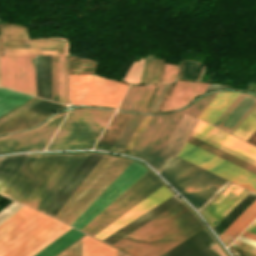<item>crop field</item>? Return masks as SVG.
Instances as JSON below:
<instances>
[{
  "label": "crop field",
  "mask_w": 256,
  "mask_h": 256,
  "mask_svg": "<svg viewBox=\"0 0 256 256\" xmlns=\"http://www.w3.org/2000/svg\"><path fill=\"white\" fill-rule=\"evenodd\" d=\"M87 155L30 156L1 194L43 212Z\"/></svg>",
  "instance_id": "1"
},
{
  "label": "crop field",
  "mask_w": 256,
  "mask_h": 256,
  "mask_svg": "<svg viewBox=\"0 0 256 256\" xmlns=\"http://www.w3.org/2000/svg\"><path fill=\"white\" fill-rule=\"evenodd\" d=\"M195 218L180 202L112 246L132 256H159L203 229Z\"/></svg>",
  "instance_id": "2"
},
{
  "label": "crop field",
  "mask_w": 256,
  "mask_h": 256,
  "mask_svg": "<svg viewBox=\"0 0 256 256\" xmlns=\"http://www.w3.org/2000/svg\"><path fill=\"white\" fill-rule=\"evenodd\" d=\"M69 228L24 207L0 224V256H33Z\"/></svg>",
  "instance_id": "3"
},
{
  "label": "crop field",
  "mask_w": 256,
  "mask_h": 256,
  "mask_svg": "<svg viewBox=\"0 0 256 256\" xmlns=\"http://www.w3.org/2000/svg\"><path fill=\"white\" fill-rule=\"evenodd\" d=\"M130 163L103 155L55 218L70 225Z\"/></svg>",
  "instance_id": "4"
},
{
  "label": "crop field",
  "mask_w": 256,
  "mask_h": 256,
  "mask_svg": "<svg viewBox=\"0 0 256 256\" xmlns=\"http://www.w3.org/2000/svg\"><path fill=\"white\" fill-rule=\"evenodd\" d=\"M113 113L94 109L70 111L46 150L92 148Z\"/></svg>",
  "instance_id": "5"
},
{
  "label": "crop field",
  "mask_w": 256,
  "mask_h": 256,
  "mask_svg": "<svg viewBox=\"0 0 256 256\" xmlns=\"http://www.w3.org/2000/svg\"><path fill=\"white\" fill-rule=\"evenodd\" d=\"M160 175L179 191L196 210L213 195L226 180L176 157Z\"/></svg>",
  "instance_id": "6"
},
{
  "label": "crop field",
  "mask_w": 256,
  "mask_h": 256,
  "mask_svg": "<svg viewBox=\"0 0 256 256\" xmlns=\"http://www.w3.org/2000/svg\"><path fill=\"white\" fill-rule=\"evenodd\" d=\"M127 87L96 76L69 75V104L117 108Z\"/></svg>",
  "instance_id": "7"
},
{
  "label": "crop field",
  "mask_w": 256,
  "mask_h": 256,
  "mask_svg": "<svg viewBox=\"0 0 256 256\" xmlns=\"http://www.w3.org/2000/svg\"><path fill=\"white\" fill-rule=\"evenodd\" d=\"M162 186L148 171L123 192L82 231L95 235L127 210Z\"/></svg>",
  "instance_id": "8"
},
{
  "label": "crop field",
  "mask_w": 256,
  "mask_h": 256,
  "mask_svg": "<svg viewBox=\"0 0 256 256\" xmlns=\"http://www.w3.org/2000/svg\"><path fill=\"white\" fill-rule=\"evenodd\" d=\"M5 47H61L60 48H6V55L67 54V39L28 40L24 27L10 24L0 25V55H5Z\"/></svg>",
  "instance_id": "9"
},
{
  "label": "crop field",
  "mask_w": 256,
  "mask_h": 256,
  "mask_svg": "<svg viewBox=\"0 0 256 256\" xmlns=\"http://www.w3.org/2000/svg\"><path fill=\"white\" fill-rule=\"evenodd\" d=\"M179 157L256 193V175L203 151L187 142Z\"/></svg>",
  "instance_id": "10"
},
{
  "label": "crop field",
  "mask_w": 256,
  "mask_h": 256,
  "mask_svg": "<svg viewBox=\"0 0 256 256\" xmlns=\"http://www.w3.org/2000/svg\"><path fill=\"white\" fill-rule=\"evenodd\" d=\"M182 115L183 112H177L152 116L129 155L141 158L151 166Z\"/></svg>",
  "instance_id": "11"
},
{
  "label": "crop field",
  "mask_w": 256,
  "mask_h": 256,
  "mask_svg": "<svg viewBox=\"0 0 256 256\" xmlns=\"http://www.w3.org/2000/svg\"><path fill=\"white\" fill-rule=\"evenodd\" d=\"M66 113L58 114L26 132L0 137V153L44 150Z\"/></svg>",
  "instance_id": "12"
},
{
  "label": "crop field",
  "mask_w": 256,
  "mask_h": 256,
  "mask_svg": "<svg viewBox=\"0 0 256 256\" xmlns=\"http://www.w3.org/2000/svg\"><path fill=\"white\" fill-rule=\"evenodd\" d=\"M146 171L143 166L132 162L71 226L81 230Z\"/></svg>",
  "instance_id": "13"
},
{
  "label": "crop field",
  "mask_w": 256,
  "mask_h": 256,
  "mask_svg": "<svg viewBox=\"0 0 256 256\" xmlns=\"http://www.w3.org/2000/svg\"><path fill=\"white\" fill-rule=\"evenodd\" d=\"M1 86L35 96V56H0Z\"/></svg>",
  "instance_id": "14"
},
{
  "label": "crop field",
  "mask_w": 256,
  "mask_h": 256,
  "mask_svg": "<svg viewBox=\"0 0 256 256\" xmlns=\"http://www.w3.org/2000/svg\"><path fill=\"white\" fill-rule=\"evenodd\" d=\"M248 193L231 183L200 214L213 229Z\"/></svg>",
  "instance_id": "15"
},
{
  "label": "crop field",
  "mask_w": 256,
  "mask_h": 256,
  "mask_svg": "<svg viewBox=\"0 0 256 256\" xmlns=\"http://www.w3.org/2000/svg\"><path fill=\"white\" fill-rule=\"evenodd\" d=\"M167 190L163 186L160 187L158 190H156L154 193L149 195L143 201L138 203L136 206H134L128 212L123 214L117 220H115L110 225H108L106 228H104L99 233H97L94 237H96L100 240L104 239L105 237L109 236L110 234L117 231L121 227L125 226L129 222L133 221L137 217L141 216L145 212L149 211L153 207L157 206L161 202L165 201L169 197L173 196Z\"/></svg>",
  "instance_id": "16"
},
{
  "label": "crop field",
  "mask_w": 256,
  "mask_h": 256,
  "mask_svg": "<svg viewBox=\"0 0 256 256\" xmlns=\"http://www.w3.org/2000/svg\"><path fill=\"white\" fill-rule=\"evenodd\" d=\"M197 119L184 113L171 136L165 143L159 155L155 159L152 167L159 171L166 163H168L178 152L189 132L193 128Z\"/></svg>",
  "instance_id": "17"
},
{
  "label": "crop field",
  "mask_w": 256,
  "mask_h": 256,
  "mask_svg": "<svg viewBox=\"0 0 256 256\" xmlns=\"http://www.w3.org/2000/svg\"><path fill=\"white\" fill-rule=\"evenodd\" d=\"M101 156V154H89L76 172L72 175V177L68 180L65 186L63 185L64 187L61 189V191L59 190L60 192L57 194V196L55 195L56 197L53 199V201L51 200L52 202L49 204V206L47 205L48 207L45 209V211L43 210L44 213L54 217L66 200L90 172L93 166L101 158Z\"/></svg>",
  "instance_id": "18"
},
{
  "label": "crop field",
  "mask_w": 256,
  "mask_h": 256,
  "mask_svg": "<svg viewBox=\"0 0 256 256\" xmlns=\"http://www.w3.org/2000/svg\"><path fill=\"white\" fill-rule=\"evenodd\" d=\"M62 107H65V105L44 100L0 125V134L29 127L41 121L53 111Z\"/></svg>",
  "instance_id": "19"
},
{
  "label": "crop field",
  "mask_w": 256,
  "mask_h": 256,
  "mask_svg": "<svg viewBox=\"0 0 256 256\" xmlns=\"http://www.w3.org/2000/svg\"><path fill=\"white\" fill-rule=\"evenodd\" d=\"M252 98L256 100V97L249 95V94H244L240 93L236 99L227 107V109L217 118V120L212 124L230 134L234 132V130L240 125V123L246 118V116L252 111V109L256 106V101L249 99ZM245 97V98H244ZM244 98V99H243ZM243 99V100H242ZM242 100V102H241ZM241 102V103H240ZM254 102V103H253ZM240 103V104H239ZM253 103V104H252ZM239 104V105H238ZM252 106L250 107V105ZM238 105V106H237ZM237 106V107H236ZM236 107V108H235ZM250 107V108H249ZM235 108V109H234ZM249 108V109H248ZM234 109V110H233ZM248 109V110H247ZM233 110V112H232ZM247 110V111H246ZM246 111V112H245ZM232 112V113H231ZM245 112V113H244ZM231 113V114H230ZM244 113V114H243ZM230 114V115H229ZM243 114V116H242ZM229 115V116H228ZM228 116V117H227ZM242 116V117H241ZM227 117V118H226ZM241 117V118H240ZM226 118V119H225ZM240 118V119H239ZM225 119V120H224ZM239 119V120H238ZM224 120V122H223ZM238 120V121H237ZM237 121V122H236ZM223 122V123H222ZM236 122V123H235ZM222 123V124H221ZM235 123V124H234ZM226 127L230 129L233 124L234 126L228 130L226 128H223L221 126Z\"/></svg>",
  "instance_id": "20"
},
{
  "label": "crop field",
  "mask_w": 256,
  "mask_h": 256,
  "mask_svg": "<svg viewBox=\"0 0 256 256\" xmlns=\"http://www.w3.org/2000/svg\"><path fill=\"white\" fill-rule=\"evenodd\" d=\"M216 243L203 229L161 256H212Z\"/></svg>",
  "instance_id": "21"
},
{
  "label": "crop field",
  "mask_w": 256,
  "mask_h": 256,
  "mask_svg": "<svg viewBox=\"0 0 256 256\" xmlns=\"http://www.w3.org/2000/svg\"><path fill=\"white\" fill-rule=\"evenodd\" d=\"M194 131L256 160L255 147L231 135H228L202 121H198L197 125L194 128Z\"/></svg>",
  "instance_id": "22"
},
{
  "label": "crop field",
  "mask_w": 256,
  "mask_h": 256,
  "mask_svg": "<svg viewBox=\"0 0 256 256\" xmlns=\"http://www.w3.org/2000/svg\"><path fill=\"white\" fill-rule=\"evenodd\" d=\"M208 84L179 80L164 111L185 105L194 96L205 92Z\"/></svg>",
  "instance_id": "23"
},
{
  "label": "crop field",
  "mask_w": 256,
  "mask_h": 256,
  "mask_svg": "<svg viewBox=\"0 0 256 256\" xmlns=\"http://www.w3.org/2000/svg\"><path fill=\"white\" fill-rule=\"evenodd\" d=\"M178 202H180V201L178 199H176L174 196L171 197L170 199L166 200L162 204L158 205L154 209L150 210L146 214L142 215L138 219L134 220L130 224L126 225L125 227L118 230L117 232H115L114 234L110 235L109 237H107L106 239H104L102 241H104L110 245L113 244L114 242L118 241L122 237L126 236L130 232L134 231L138 227L142 226L143 224H145L149 220L153 219L157 215L161 214L165 210L169 209L173 205L177 204Z\"/></svg>",
  "instance_id": "24"
},
{
  "label": "crop field",
  "mask_w": 256,
  "mask_h": 256,
  "mask_svg": "<svg viewBox=\"0 0 256 256\" xmlns=\"http://www.w3.org/2000/svg\"><path fill=\"white\" fill-rule=\"evenodd\" d=\"M130 117V114L116 112L94 149L110 151Z\"/></svg>",
  "instance_id": "25"
},
{
  "label": "crop field",
  "mask_w": 256,
  "mask_h": 256,
  "mask_svg": "<svg viewBox=\"0 0 256 256\" xmlns=\"http://www.w3.org/2000/svg\"><path fill=\"white\" fill-rule=\"evenodd\" d=\"M239 93L219 92L198 118L212 124Z\"/></svg>",
  "instance_id": "26"
},
{
  "label": "crop field",
  "mask_w": 256,
  "mask_h": 256,
  "mask_svg": "<svg viewBox=\"0 0 256 256\" xmlns=\"http://www.w3.org/2000/svg\"><path fill=\"white\" fill-rule=\"evenodd\" d=\"M255 217L256 201L219 236L224 245L227 246ZM225 238L226 243L230 240L227 244Z\"/></svg>",
  "instance_id": "27"
},
{
  "label": "crop field",
  "mask_w": 256,
  "mask_h": 256,
  "mask_svg": "<svg viewBox=\"0 0 256 256\" xmlns=\"http://www.w3.org/2000/svg\"><path fill=\"white\" fill-rule=\"evenodd\" d=\"M187 142H189V143H191V144H193V145H195V146H197V147H199L203 150H206V151H208V152H210V153H212V154H214V155H216V156H218L222 159H225V160H227V161H229V162H231V163H233V164H235L239 167H242V168L256 174V167L255 166H253V165H251V164H249V163H247V162H245V161H243V160H241L237 157H234V156H232V155H230V154H228V153H226V152H224V151H222V150H220V149H218L214 146H211V145H209V144H207V143H205V142H203V141H201V140H199V139H197V138H195L191 135H189V137L187 139Z\"/></svg>",
  "instance_id": "28"
},
{
  "label": "crop field",
  "mask_w": 256,
  "mask_h": 256,
  "mask_svg": "<svg viewBox=\"0 0 256 256\" xmlns=\"http://www.w3.org/2000/svg\"><path fill=\"white\" fill-rule=\"evenodd\" d=\"M82 235L84 234L71 228L34 256H55Z\"/></svg>",
  "instance_id": "29"
},
{
  "label": "crop field",
  "mask_w": 256,
  "mask_h": 256,
  "mask_svg": "<svg viewBox=\"0 0 256 256\" xmlns=\"http://www.w3.org/2000/svg\"><path fill=\"white\" fill-rule=\"evenodd\" d=\"M82 256H116V250L89 237H82Z\"/></svg>",
  "instance_id": "30"
},
{
  "label": "crop field",
  "mask_w": 256,
  "mask_h": 256,
  "mask_svg": "<svg viewBox=\"0 0 256 256\" xmlns=\"http://www.w3.org/2000/svg\"><path fill=\"white\" fill-rule=\"evenodd\" d=\"M256 195L249 193L213 230L219 236L238 216H240L254 201Z\"/></svg>",
  "instance_id": "31"
},
{
  "label": "crop field",
  "mask_w": 256,
  "mask_h": 256,
  "mask_svg": "<svg viewBox=\"0 0 256 256\" xmlns=\"http://www.w3.org/2000/svg\"><path fill=\"white\" fill-rule=\"evenodd\" d=\"M33 96L0 87V115L27 101Z\"/></svg>",
  "instance_id": "32"
},
{
  "label": "crop field",
  "mask_w": 256,
  "mask_h": 256,
  "mask_svg": "<svg viewBox=\"0 0 256 256\" xmlns=\"http://www.w3.org/2000/svg\"><path fill=\"white\" fill-rule=\"evenodd\" d=\"M143 118L144 116L132 115L131 119L129 120L121 135L117 139L116 143L112 147V152L121 153V151L129 141L132 134L134 133V131L136 130V128L138 127Z\"/></svg>",
  "instance_id": "33"
},
{
  "label": "crop field",
  "mask_w": 256,
  "mask_h": 256,
  "mask_svg": "<svg viewBox=\"0 0 256 256\" xmlns=\"http://www.w3.org/2000/svg\"><path fill=\"white\" fill-rule=\"evenodd\" d=\"M59 102L67 104V55L58 56Z\"/></svg>",
  "instance_id": "34"
},
{
  "label": "crop field",
  "mask_w": 256,
  "mask_h": 256,
  "mask_svg": "<svg viewBox=\"0 0 256 256\" xmlns=\"http://www.w3.org/2000/svg\"><path fill=\"white\" fill-rule=\"evenodd\" d=\"M255 130H256V107L247 116V118L241 123V125L235 130L233 135L246 141Z\"/></svg>",
  "instance_id": "35"
},
{
  "label": "crop field",
  "mask_w": 256,
  "mask_h": 256,
  "mask_svg": "<svg viewBox=\"0 0 256 256\" xmlns=\"http://www.w3.org/2000/svg\"><path fill=\"white\" fill-rule=\"evenodd\" d=\"M145 88H146V86L145 87H130L120 105V108H124L126 104H127V107H126L127 109H130L132 104L137 105Z\"/></svg>",
  "instance_id": "36"
},
{
  "label": "crop field",
  "mask_w": 256,
  "mask_h": 256,
  "mask_svg": "<svg viewBox=\"0 0 256 256\" xmlns=\"http://www.w3.org/2000/svg\"><path fill=\"white\" fill-rule=\"evenodd\" d=\"M163 85L164 84L148 86L146 91H145V93H144V95H143V97H142V99H141V101H140V103H139V105H138V107H137V109H136V111H140V112H145L146 111L145 106H146V104H147V102L149 100V97H150L154 87H159V89H158V91H157V93H156V95H155V97H154V99H153V101H152L148 111H147V112H150L152 107H153V105H154V103H155V101H156V99H157V97H158V95H159V93H160V91H161V89H162V87H163Z\"/></svg>",
  "instance_id": "37"
},
{
  "label": "crop field",
  "mask_w": 256,
  "mask_h": 256,
  "mask_svg": "<svg viewBox=\"0 0 256 256\" xmlns=\"http://www.w3.org/2000/svg\"><path fill=\"white\" fill-rule=\"evenodd\" d=\"M191 135H193V136H195V137H197V138H199V139H201V140H203V141H205V142H207L211 145H214V146H216V147H218V148H220V149H222V150H224V151H226V152H228V153H230L234 156H237V157H239V158H241V159H243V160H245V161H247V162L256 166V161H254V160H252V159H250V158H248V157H246V156H244L240 153H237V152H235V151H233V150H231V149H229V148H227V147H225V146H223V145H221L217 142H214V141H212V140H210V139H208V138H206V137H204V136H202V135H200V134H198L194 131H192Z\"/></svg>",
  "instance_id": "38"
},
{
  "label": "crop field",
  "mask_w": 256,
  "mask_h": 256,
  "mask_svg": "<svg viewBox=\"0 0 256 256\" xmlns=\"http://www.w3.org/2000/svg\"><path fill=\"white\" fill-rule=\"evenodd\" d=\"M216 94H212L210 96L203 98L202 100L196 102L190 107L183 109V111L197 117L200 114V112L207 106V104L214 98Z\"/></svg>",
  "instance_id": "39"
},
{
  "label": "crop field",
  "mask_w": 256,
  "mask_h": 256,
  "mask_svg": "<svg viewBox=\"0 0 256 256\" xmlns=\"http://www.w3.org/2000/svg\"><path fill=\"white\" fill-rule=\"evenodd\" d=\"M52 100L58 102L57 56H52Z\"/></svg>",
  "instance_id": "40"
},
{
  "label": "crop field",
  "mask_w": 256,
  "mask_h": 256,
  "mask_svg": "<svg viewBox=\"0 0 256 256\" xmlns=\"http://www.w3.org/2000/svg\"><path fill=\"white\" fill-rule=\"evenodd\" d=\"M23 206L18 205L14 202H12L11 204H9L7 207L3 208L0 211V223L3 222L4 220H6L8 217H10L11 215H13L15 212H17L18 210H20Z\"/></svg>",
  "instance_id": "41"
},
{
  "label": "crop field",
  "mask_w": 256,
  "mask_h": 256,
  "mask_svg": "<svg viewBox=\"0 0 256 256\" xmlns=\"http://www.w3.org/2000/svg\"><path fill=\"white\" fill-rule=\"evenodd\" d=\"M42 101V99H34L31 102L25 104L24 106L20 107L19 109L15 110L14 112L8 114L7 116L3 117L2 119H0V124L4 123L5 121L11 119L12 117L18 115L19 113L25 111L26 109L30 108L31 106L37 104L38 102Z\"/></svg>",
  "instance_id": "42"
},
{
  "label": "crop field",
  "mask_w": 256,
  "mask_h": 256,
  "mask_svg": "<svg viewBox=\"0 0 256 256\" xmlns=\"http://www.w3.org/2000/svg\"><path fill=\"white\" fill-rule=\"evenodd\" d=\"M150 118H151V116H145V118L143 119L142 123L140 124V126L136 130L135 134L133 135V137L129 141L128 145L126 146V149L131 150V148L133 147L134 143L138 139L139 135L143 131L144 127L146 126V124L148 123Z\"/></svg>",
  "instance_id": "43"
},
{
  "label": "crop field",
  "mask_w": 256,
  "mask_h": 256,
  "mask_svg": "<svg viewBox=\"0 0 256 256\" xmlns=\"http://www.w3.org/2000/svg\"><path fill=\"white\" fill-rule=\"evenodd\" d=\"M177 73V66L167 64L163 82H171L175 79Z\"/></svg>",
  "instance_id": "44"
},
{
  "label": "crop field",
  "mask_w": 256,
  "mask_h": 256,
  "mask_svg": "<svg viewBox=\"0 0 256 256\" xmlns=\"http://www.w3.org/2000/svg\"><path fill=\"white\" fill-rule=\"evenodd\" d=\"M67 256H81V239L67 248Z\"/></svg>",
  "instance_id": "45"
},
{
  "label": "crop field",
  "mask_w": 256,
  "mask_h": 256,
  "mask_svg": "<svg viewBox=\"0 0 256 256\" xmlns=\"http://www.w3.org/2000/svg\"><path fill=\"white\" fill-rule=\"evenodd\" d=\"M231 246L256 254V247L242 243L237 240L234 243H232Z\"/></svg>",
  "instance_id": "46"
},
{
  "label": "crop field",
  "mask_w": 256,
  "mask_h": 256,
  "mask_svg": "<svg viewBox=\"0 0 256 256\" xmlns=\"http://www.w3.org/2000/svg\"><path fill=\"white\" fill-rule=\"evenodd\" d=\"M230 182H226L213 196H211L197 211L200 212L214 197H216Z\"/></svg>",
  "instance_id": "47"
},
{
  "label": "crop field",
  "mask_w": 256,
  "mask_h": 256,
  "mask_svg": "<svg viewBox=\"0 0 256 256\" xmlns=\"http://www.w3.org/2000/svg\"><path fill=\"white\" fill-rule=\"evenodd\" d=\"M230 249L234 253L235 256H256V255H253V254H250L248 252L236 249V248L231 247V246H230Z\"/></svg>",
  "instance_id": "48"
},
{
  "label": "crop field",
  "mask_w": 256,
  "mask_h": 256,
  "mask_svg": "<svg viewBox=\"0 0 256 256\" xmlns=\"http://www.w3.org/2000/svg\"><path fill=\"white\" fill-rule=\"evenodd\" d=\"M237 240H240V241H242V242H245V243H248V244H251V245L256 246V242H255V241L249 240V239L244 238V237H241V236H239V237L237 238Z\"/></svg>",
  "instance_id": "49"
},
{
  "label": "crop field",
  "mask_w": 256,
  "mask_h": 256,
  "mask_svg": "<svg viewBox=\"0 0 256 256\" xmlns=\"http://www.w3.org/2000/svg\"><path fill=\"white\" fill-rule=\"evenodd\" d=\"M241 236H244V237H247L249 239H252V240H255L256 241V235L252 234V233H249V232H246L244 231Z\"/></svg>",
  "instance_id": "50"
},
{
  "label": "crop field",
  "mask_w": 256,
  "mask_h": 256,
  "mask_svg": "<svg viewBox=\"0 0 256 256\" xmlns=\"http://www.w3.org/2000/svg\"><path fill=\"white\" fill-rule=\"evenodd\" d=\"M246 231L252 232L254 234H256V224L252 223L247 229Z\"/></svg>",
  "instance_id": "51"
},
{
  "label": "crop field",
  "mask_w": 256,
  "mask_h": 256,
  "mask_svg": "<svg viewBox=\"0 0 256 256\" xmlns=\"http://www.w3.org/2000/svg\"><path fill=\"white\" fill-rule=\"evenodd\" d=\"M117 256H127V255H125V254H123V253L117 251Z\"/></svg>",
  "instance_id": "52"
},
{
  "label": "crop field",
  "mask_w": 256,
  "mask_h": 256,
  "mask_svg": "<svg viewBox=\"0 0 256 256\" xmlns=\"http://www.w3.org/2000/svg\"><path fill=\"white\" fill-rule=\"evenodd\" d=\"M58 256H66V250H64L62 253H60Z\"/></svg>",
  "instance_id": "53"
},
{
  "label": "crop field",
  "mask_w": 256,
  "mask_h": 256,
  "mask_svg": "<svg viewBox=\"0 0 256 256\" xmlns=\"http://www.w3.org/2000/svg\"><path fill=\"white\" fill-rule=\"evenodd\" d=\"M3 157H0V161L2 160Z\"/></svg>",
  "instance_id": "54"
},
{
  "label": "crop field",
  "mask_w": 256,
  "mask_h": 256,
  "mask_svg": "<svg viewBox=\"0 0 256 256\" xmlns=\"http://www.w3.org/2000/svg\"><path fill=\"white\" fill-rule=\"evenodd\" d=\"M255 223H256V221H255Z\"/></svg>",
  "instance_id": "55"
}]
</instances>
